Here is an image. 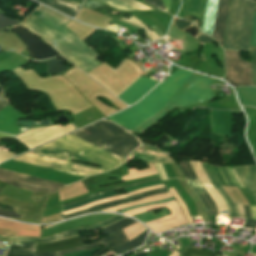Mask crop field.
Segmentation results:
<instances>
[{
  "label": "crop field",
  "mask_w": 256,
  "mask_h": 256,
  "mask_svg": "<svg viewBox=\"0 0 256 256\" xmlns=\"http://www.w3.org/2000/svg\"><path fill=\"white\" fill-rule=\"evenodd\" d=\"M72 157L82 162L101 165L107 170L119 166L123 161V158L70 134L39 149L18 156L13 160L83 177L107 171L88 165L69 162Z\"/></svg>",
  "instance_id": "1"
},
{
  "label": "crop field",
  "mask_w": 256,
  "mask_h": 256,
  "mask_svg": "<svg viewBox=\"0 0 256 256\" xmlns=\"http://www.w3.org/2000/svg\"><path fill=\"white\" fill-rule=\"evenodd\" d=\"M72 20L40 6L22 25L29 28L85 73L102 64L97 53L64 25Z\"/></svg>",
  "instance_id": "2"
},
{
  "label": "crop field",
  "mask_w": 256,
  "mask_h": 256,
  "mask_svg": "<svg viewBox=\"0 0 256 256\" xmlns=\"http://www.w3.org/2000/svg\"><path fill=\"white\" fill-rule=\"evenodd\" d=\"M191 74L192 72L178 69L136 105L109 118L130 130L134 129L160 111Z\"/></svg>",
  "instance_id": "3"
},
{
  "label": "crop field",
  "mask_w": 256,
  "mask_h": 256,
  "mask_svg": "<svg viewBox=\"0 0 256 256\" xmlns=\"http://www.w3.org/2000/svg\"><path fill=\"white\" fill-rule=\"evenodd\" d=\"M120 128L101 120L81 129L90 135L80 130L73 132V135L125 158L140 143Z\"/></svg>",
  "instance_id": "4"
},
{
  "label": "crop field",
  "mask_w": 256,
  "mask_h": 256,
  "mask_svg": "<svg viewBox=\"0 0 256 256\" xmlns=\"http://www.w3.org/2000/svg\"><path fill=\"white\" fill-rule=\"evenodd\" d=\"M213 80V78L193 73L160 112L132 131L138 134L141 133L147 127L167 114L174 105L184 107L193 103L214 99L215 96L209 86Z\"/></svg>",
  "instance_id": "5"
},
{
  "label": "crop field",
  "mask_w": 256,
  "mask_h": 256,
  "mask_svg": "<svg viewBox=\"0 0 256 256\" xmlns=\"http://www.w3.org/2000/svg\"><path fill=\"white\" fill-rule=\"evenodd\" d=\"M254 5L250 0H232L225 47L251 49V52H256V47H249Z\"/></svg>",
  "instance_id": "6"
},
{
  "label": "crop field",
  "mask_w": 256,
  "mask_h": 256,
  "mask_svg": "<svg viewBox=\"0 0 256 256\" xmlns=\"http://www.w3.org/2000/svg\"><path fill=\"white\" fill-rule=\"evenodd\" d=\"M0 180L18 188L53 193L65 184L0 169Z\"/></svg>",
  "instance_id": "7"
},
{
  "label": "crop field",
  "mask_w": 256,
  "mask_h": 256,
  "mask_svg": "<svg viewBox=\"0 0 256 256\" xmlns=\"http://www.w3.org/2000/svg\"><path fill=\"white\" fill-rule=\"evenodd\" d=\"M202 164L213 186L215 187L217 192L220 194V196L225 200L229 209L230 216L238 217L239 215V217L244 218L241 204H236L237 210H238V215H237L235 204H233L232 200L229 198V196L225 193V191L220 186V185H224V186L236 187L226 166L218 167V166H211L206 163H202Z\"/></svg>",
  "instance_id": "8"
},
{
  "label": "crop field",
  "mask_w": 256,
  "mask_h": 256,
  "mask_svg": "<svg viewBox=\"0 0 256 256\" xmlns=\"http://www.w3.org/2000/svg\"><path fill=\"white\" fill-rule=\"evenodd\" d=\"M226 81L232 85H252L251 63L242 61L240 53L236 51L225 50Z\"/></svg>",
  "instance_id": "9"
},
{
  "label": "crop field",
  "mask_w": 256,
  "mask_h": 256,
  "mask_svg": "<svg viewBox=\"0 0 256 256\" xmlns=\"http://www.w3.org/2000/svg\"><path fill=\"white\" fill-rule=\"evenodd\" d=\"M123 218H125V217L116 215L110 219H107V220L100 222L98 224H95L93 226H87V227H83V228L73 229L68 232L57 234V235H54V236L48 237V238L39 239V238H32V237H10L9 241H31V242H41V243L57 241V240H61V239H65V238H69V237H73V236H78V234L76 232H79V231L92 230V229H97V228H100V227H103L106 225H110L112 223H115V222L123 219Z\"/></svg>",
  "instance_id": "10"
},
{
  "label": "crop field",
  "mask_w": 256,
  "mask_h": 256,
  "mask_svg": "<svg viewBox=\"0 0 256 256\" xmlns=\"http://www.w3.org/2000/svg\"><path fill=\"white\" fill-rule=\"evenodd\" d=\"M157 82L149 78L140 77L118 97L128 105H131L145 95Z\"/></svg>",
  "instance_id": "11"
},
{
  "label": "crop field",
  "mask_w": 256,
  "mask_h": 256,
  "mask_svg": "<svg viewBox=\"0 0 256 256\" xmlns=\"http://www.w3.org/2000/svg\"><path fill=\"white\" fill-rule=\"evenodd\" d=\"M230 0H218L212 37L218 39L223 46L227 10Z\"/></svg>",
  "instance_id": "12"
},
{
  "label": "crop field",
  "mask_w": 256,
  "mask_h": 256,
  "mask_svg": "<svg viewBox=\"0 0 256 256\" xmlns=\"http://www.w3.org/2000/svg\"><path fill=\"white\" fill-rule=\"evenodd\" d=\"M87 241H89V239H82L80 236H78L75 238H69L57 242L39 244L36 247V252H53L67 248L83 246L86 245L85 242Z\"/></svg>",
  "instance_id": "13"
},
{
  "label": "crop field",
  "mask_w": 256,
  "mask_h": 256,
  "mask_svg": "<svg viewBox=\"0 0 256 256\" xmlns=\"http://www.w3.org/2000/svg\"><path fill=\"white\" fill-rule=\"evenodd\" d=\"M189 162H190L191 166L193 167L194 171L196 172L200 181L204 184L208 193L214 199L219 210L228 211L225 202L222 200V198L219 196V194L216 192V190L212 187V184L210 183L207 175L205 174L201 163L192 162V161H189Z\"/></svg>",
  "instance_id": "14"
},
{
  "label": "crop field",
  "mask_w": 256,
  "mask_h": 256,
  "mask_svg": "<svg viewBox=\"0 0 256 256\" xmlns=\"http://www.w3.org/2000/svg\"><path fill=\"white\" fill-rule=\"evenodd\" d=\"M245 185V189L256 200V166L234 167Z\"/></svg>",
  "instance_id": "15"
},
{
  "label": "crop field",
  "mask_w": 256,
  "mask_h": 256,
  "mask_svg": "<svg viewBox=\"0 0 256 256\" xmlns=\"http://www.w3.org/2000/svg\"><path fill=\"white\" fill-rule=\"evenodd\" d=\"M188 185L191 187V189L194 191V193L197 195V197L202 202L205 211L207 214H219L216 208V205L212 201L209 194L205 191L203 185L200 182L197 181H188L186 180Z\"/></svg>",
  "instance_id": "16"
},
{
  "label": "crop field",
  "mask_w": 256,
  "mask_h": 256,
  "mask_svg": "<svg viewBox=\"0 0 256 256\" xmlns=\"http://www.w3.org/2000/svg\"><path fill=\"white\" fill-rule=\"evenodd\" d=\"M157 190H161V191L155 192V193H150V194H145V193H149V192H153V191H157ZM164 192H167L165 188L144 192V193H141L139 195L127 197V198L122 199V200L100 204V205L94 206V207H92L88 210H84V211L77 212V213H74V214H71V215L63 216L62 218L66 219V218H70V217H74V216H78V215H82V214H86V213H90V212H94V211L107 209V208H110V207L115 206V205H119V204L134 201L136 199L142 198V197L147 196V195L156 194V193H164ZM142 194H145V195H142Z\"/></svg>",
  "instance_id": "17"
},
{
  "label": "crop field",
  "mask_w": 256,
  "mask_h": 256,
  "mask_svg": "<svg viewBox=\"0 0 256 256\" xmlns=\"http://www.w3.org/2000/svg\"><path fill=\"white\" fill-rule=\"evenodd\" d=\"M45 5H48L56 10H59L69 16L74 17L80 4L68 0H37Z\"/></svg>",
  "instance_id": "18"
},
{
  "label": "crop field",
  "mask_w": 256,
  "mask_h": 256,
  "mask_svg": "<svg viewBox=\"0 0 256 256\" xmlns=\"http://www.w3.org/2000/svg\"><path fill=\"white\" fill-rule=\"evenodd\" d=\"M36 243L10 242L6 256H35Z\"/></svg>",
  "instance_id": "19"
},
{
  "label": "crop field",
  "mask_w": 256,
  "mask_h": 256,
  "mask_svg": "<svg viewBox=\"0 0 256 256\" xmlns=\"http://www.w3.org/2000/svg\"><path fill=\"white\" fill-rule=\"evenodd\" d=\"M216 6H217V0H208L207 1V7H206L202 31L209 35L212 34Z\"/></svg>",
  "instance_id": "20"
},
{
  "label": "crop field",
  "mask_w": 256,
  "mask_h": 256,
  "mask_svg": "<svg viewBox=\"0 0 256 256\" xmlns=\"http://www.w3.org/2000/svg\"><path fill=\"white\" fill-rule=\"evenodd\" d=\"M106 2L120 10H148L150 8L134 0H100Z\"/></svg>",
  "instance_id": "21"
},
{
  "label": "crop field",
  "mask_w": 256,
  "mask_h": 256,
  "mask_svg": "<svg viewBox=\"0 0 256 256\" xmlns=\"http://www.w3.org/2000/svg\"><path fill=\"white\" fill-rule=\"evenodd\" d=\"M242 105L256 106V88L243 87L235 88Z\"/></svg>",
  "instance_id": "22"
},
{
  "label": "crop field",
  "mask_w": 256,
  "mask_h": 256,
  "mask_svg": "<svg viewBox=\"0 0 256 256\" xmlns=\"http://www.w3.org/2000/svg\"><path fill=\"white\" fill-rule=\"evenodd\" d=\"M101 241H103L105 244L111 247V249L115 246L121 245L125 242H127V238L123 232V230L107 237V238H102Z\"/></svg>",
  "instance_id": "23"
},
{
  "label": "crop field",
  "mask_w": 256,
  "mask_h": 256,
  "mask_svg": "<svg viewBox=\"0 0 256 256\" xmlns=\"http://www.w3.org/2000/svg\"><path fill=\"white\" fill-rule=\"evenodd\" d=\"M150 168L143 169V170H136L134 168H129V175L122 177L123 180H129L133 178H138L146 175H151L157 173L153 164H148Z\"/></svg>",
  "instance_id": "24"
},
{
  "label": "crop field",
  "mask_w": 256,
  "mask_h": 256,
  "mask_svg": "<svg viewBox=\"0 0 256 256\" xmlns=\"http://www.w3.org/2000/svg\"><path fill=\"white\" fill-rule=\"evenodd\" d=\"M135 222L136 221H134V220L126 218V219H124L122 221H119V222H117L115 224H112L110 226L103 227L104 231H102V232L106 233L109 236V235H111V234H113V233H115V232H117V231H119V230H121V229H123V228H125V227H127V226H129V225H131L133 223H135Z\"/></svg>",
  "instance_id": "25"
},
{
  "label": "crop field",
  "mask_w": 256,
  "mask_h": 256,
  "mask_svg": "<svg viewBox=\"0 0 256 256\" xmlns=\"http://www.w3.org/2000/svg\"><path fill=\"white\" fill-rule=\"evenodd\" d=\"M148 231V230H147ZM147 231H145L144 233H142L140 236H138L137 238L129 241L128 243L121 245L119 247L114 248L113 250L115 251V253L119 254L121 252H124L128 249H131L133 247L138 246L139 244L143 243L145 235L147 233Z\"/></svg>",
  "instance_id": "26"
},
{
  "label": "crop field",
  "mask_w": 256,
  "mask_h": 256,
  "mask_svg": "<svg viewBox=\"0 0 256 256\" xmlns=\"http://www.w3.org/2000/svg\"><path fill=\"white\" fill-rule=\"evenodd\" d=\"M155 180H159V178L148 179V180H144V181H140V182H136V183H132V184L120 186V187L111 188V189H108V190H105V191L96 193V194H94V195L88 196V197H86V198H83V199H80V200H77V201H74V202H71V203H68V204H64L63 206L70 205V204H73V203H77V202H80V201H82V200L91 198V197H93V196H96V195H99V194H102V193L110 192V191H113V190L124 189V188H127V187H131V186H135V185H139V184H143V183H147V182H151V181H155Z\"/></svg>",
  "instance_id": "27"
},
{
  "label": "crop field",
  "mask_w": 256,
  "mask_h": 256,
  "mask_svg": "<svg viewBox=\"0 0 256 256\" xmlns=\"http://www.w3.org/2000/svg\"><path fill=\"white\" fill-rule=\"evenodd\" d=\"M114 195H118V194H116V193H114V192H111V193L99 195V196H96V197H94V198H91V199L85 200V201H83V202L77 203V204H75V205H71V206L64 207V208H62V212H63V211L70 210V209H73V208L80 207V206L85 205V204H87V203H90V202H92V201L104 199V198H107V197H110V196H114Z\"/></svg>",
  "instance_id": "28"
},
{
  "label": "crop field",
  "mask_w": 256,
  "mask_h": 256,
  "mask_svg": "<svg viewBox=\"0 0 256 256\" xmlns=\"http://www.w3.org/2000/svg\"><path fill=\"white\" fill-rule=\"evenodd\" d=\"M178 163H179V166H180L185 178H187L189 180H198L188 161L178 162Z\"/></svg>",
  "instance_id": "29"
},
{
  "label": "crop field",
  "mask_w": 256,
  "mask_h": 256,
  "mask_svg": "<svg viewBox=\"0 0 256 256\" xmlns=\"http://www.w3.org/2000/svg\"><path fill=\"white\" fill-rule=\"evenodd\" d=\"M100 244H103L102 242L98 241L92 245H88V246H83V247H78V248H75V249H71V250H66V251H59V252H56L55 256H62L63 254H66V253H70V252H76V251H83V250H88V249H91L93 247H96ZM105 247H108L106 246L105 244H103Z\"/></svg>",
  "instance_id": "30"
},
{
  "label": "crop field",
  "mask_w": 256,
  "mask_h": 256,
  "mask_svg": "<svg viewBox=\"0 0 256 256\" xmlns=\"http://www.w3.org/2000/svg\"><path fill=\"white\" fill-rule=\"evenodd\" d=\"M181 256H215V254L206 252L202 249L201 251H198V250L187 248Z\"/></svg>",
  "instance_id": "31"
},
{
  "label": "crop field",
  "mask_w": 256,
  "mask_h": 256,
  "mask_svg": "<svg viewBox=\"0 0 256 256\" xmlns=\"http://www.w3.org/2000/svg\"><path fill=\"white\" fill-rule=\"evenodd\" d=\"M250 46H256V12H254L253 27Z\"/></svg>",
  "instance_id": "32"
},
{
  "label": "crop field",
  "mask_w": 256,
  "mask_h": 256,
  "mask_svg": "<svg viewBox=\"0 0 256 256\" xmlns=\"http://www.w3.org/2000/svg\"><path fill=\"white\" fill-rule=\"evenodd\" d=\"M252 58V79L253 85H256V53H251Z\"/></svg>",
  "instance_id": "33"
},
{
  "label": "crop field",
  "mask_w": 256,
  "mask_h": 256,
  "mask_svg": "<svg viewBox=\"0 0 256 256\" xmlns=\"http://www.w3.org/2000/svg\"><path fill=\"white\" fill-rule=\"evenodd\" d=\"M0 216H4V217H8V218H11V217L21 218V216L17 215L15 212L3 210V209H0Z\"/></svg>",
  "instance_id": "34"
},
{
  "label": "crop field",
  "mask_w": 256,
  "mask_h": 256,
  "mask_svg": "<svg viewBox=\"0 0 256 256\" xmlns=\"http://www.w3.org/2000/svg\"><path fill=\"white\" fill-rule=\"evenodd\" d=\"M161 183H162V181L159 180V181H155V182H152V183H148V184H144V185H140V186H136V187L127 188L126 190L128 192H130V191L137 190V189H140V188H143V187L152 186V185L161 184Z\"/></svg>",
  "instance_id": "35"
},
{
  "label": "crop field",
  "mask_w": 256,
  "mask_h": 256,
  "mask_svg": "<svg viewBox=\"0 0 256 256\" xmlns=\"http://www.w3.org/2000/svg\"><path fill=\"white\" fill-rule=\"evenodd\" d=\"M146 2L166 11L161 0H145Z\"/></svg>",
  "instance_id": "36"
},
{
  "label": "crop field",
  "mask_w": 256,
  "mask_h": 256,
  "mask_svg": "<svg viewBox=\"0 0 256 256\" xmlns=\"http://www.w3.org/2000/svg\"><path fill=\"white\" fill-rule=\"evenodd\" d=\"M158 173H159V176L161 177V179H166L167 178V175L162 167L161 164H154Z\"/></svg>",
  "instance_id": "37"
},
{
  "label": "crop field",
  "mask_w": 256,
  "mask_h": 256,
  "mask_svg": "<svg viewBox=\"0 0 256 256\" xmlns=\"http://www.w3.org/2000/svg\"><path fill=\"white\" fill-rule=\"evenodd\" d=\"M170 200H173V198L171 199H167V200H163V201H159V202H154V203H148V204H144V205H139V206H135V207H130V208H126V209H122L120 211H118L119 213H123L127 210H130V209H134V208H138V207H142V206H146V205H149V204H158V203H163V202H166V201H170Z\"/></svg>",
  "instance_id": "38"
},
{
  "label": "crop field",
  "mask_w": 256,
  "mask_h": 256,
  "mask_svg": "<svg viewBox=\"0 0 256 256\" xmlns=\"http://www.w3.org/2000/svg\"><path fill=\"white\" fill-rule=\"evenodd\" d=\"M9 105L6 100L0 95V110Z\"/></svg>",
  "instance_id": "39"
},
{
  "label": "crop field",
  "mask_w": 256,
  "mask_h": 256,
  "mask_svg": "<svg viewBox=\"0 0 256 256\" xmlns=\"http://www.w3.org/2000/svg\"><path fill=\"white\" fill-rule=\"evenodd\" d=\"M246 227L255 229L256 228V221L248 219Z\"/></svg>",
  "instance_id": "40"
},
{
  "label": "crop field",
  "mask_w": 256,
  "mask_h": 256,
  "mask_svg": "<svg viewBox=\"0 0 256 256\" xmlns=\"http://www.w3.org/2000/svg\"><path fill=\"white\" fill-rule=\"evenodd\" d=\"M99 249H94V250H92L91 252H89V251H87L86 253H82L83 255H81V256H91V255H93L95 252H97ZM79 255V256H80Z\"/></svg>",
  "instance_id": "41"
},
{
  "label": "crop field",
  "mask_w": 256,
  "mask_h": 256,
  "mask_svg": "<svg viewBox=\"0 0 256 256\" xmlns=\"http://www.w3.org/2000/svg\"><path fill=\"white\" fill-rule=\"evenodd\" d=\"M245 210V217L251 218L249 206L243 207Z\"/></svg>",
  "instance_id": "42"
},
{
  "label": "crop field",
  "mask_w": 256,
  "mask_h": 256,
  "mask_svg": "<svg viewBox=\"0 0 256 256\" xmlns=\"http://www.w3.org/2000/svg\"><path fill=\"white\" fill-rule=\"evenodd\" d=\"M54 253H36V256H54Z\"/></svg>",
  "instance_id": "43"
},
{
  "label": "crop field",
  "mask_w": 256,
  "mask_h": 256,
  "mask_svg": "<svg viewBox=\"0 0 256 256\" xmlns=\"http://www.w3.org/2000/svg\"><path fill=\"white\" fill-rule=\"evenodd\" d=\"M167 10H169L172 0H163Z\"/></svg>",
  "instance_id": "44"
},
{
  "label": "crop field",
  "mask_w": 256,
  "mask_h": 256,
  "mask_svg": "<svg viewBox=\"0 0 256 256\" xmlns=\"http://www.w3.org/2000/svg\"><path fill=\"white\" fill-rule=\"evenodd\" d=\"M1 138H3V139H10V138H14V137L0 133V141H1Z\"/></svg>",
  "instance_id": "45"
},
{
  "label": "crop field",
  "mask_w": 256,
  "mask_h": 256,
  "mask_svg": "<svg viewBox=\"0 0 256 256\" xmlns=\"http://www.w3.org/2000/svg\"><path fill=\"white\" fill-rule=\"evenodd\" d=\"M160 37L164 36L155 26L151 27Z\"/></svg>",
  "instance_id": "46"
},
{
  "label": "crop field",
  "mask_w": 256,
  "mask_h": 256,
  "mask_svg": "<svg viewBox=\"0 0 256 256\" xmlns=\"http://www.w3.org/2000/svg\"><path fill=\"white\" fill-rule=\"evenodd\" d=\"M232 170H233V172H234V174H235V176H236V178H237V180H238L239 185H240L241 187H243V185H242V183H241V181H240V179H239V177H238V175H237L235 169H232Z\"/></svg>",
  "instance_id": "47"
},
{
  "label": "crop field",
  "mask_w": 256,
  "mask_h": 256,
  "mask_svg": "<svg viewBox=\"0 0 256 256\" xmlns=\"http://www.w3.org/2000/svg\"><path fill=\"white\" fill-rule=\"evenodd\" d=\"M0 207H1V208H5V209H9V210H13L12 208L4 207V206H1V205H0ZM13 211H14V210H13Z\"/></svg>",
  "instance_id": "48"
},
{
  "label": "crop field",
  "mask_w": 256,
  "mask_h": 256,
  "mask_svg": "<svg viewBox=\"0 0 256 256\" xmlns=\"http://www.w3.org/2000/svg\"><path fill=\"white\" fill-rule=\"evenodd\" d=\"M105 249H107V248H105ZM105 249H103L102 251L98 252L97 254H95V255H93V256L99 255V254H100L101 252H103Z\"/></svg>",
  "instance_id": "49"
},
{
  "label": "crop field",
  "mask_w": 256,
  "mask_h": 256,
  "mask_svg": "<svg viewBox=\"0 0 256 256\" xmlns=\"http://www.w3.org/2000/svg\"><path fill=\"white\" fill-rule=\"evenodd\" d=\"M0 191H1V188H0Z\"/></svg>",
  "instance_id": "50"
},
{
  "label": "crop field",
  "mask_w": 256,
  "mask_h": 256,
  "mask_svg": "<svg viewBox=\"0 0 256 256\" xmlns=\"http://www.w3.org/2000/svg\"><path fill=\"white\" fill-rule=\"evenodd\" d=\"M254 11H256V9Z\"/></svg>",
  "instance_id": "51"
},
{
  "label": "crop field",
  "mask_w": 256,
  "mask_h": 256,
  "mask_svg": "<svg viewBox=\"0 0 256 256\" xmlns=\"http://www.w3.org/2000/svg\"><path fill=\"white\" fill-rule=\"evenodd\" d=\"M254 1H256V0H254Z\"/></svg>",
  "instance_id": "52"
},
{
  "label": "crop field",
  "mask_w": 256,
  "mask_h": 256,
  "mask_svg": "<svg viewBox=\"0 0 256 256\" xmlns=\"http://www.w3.org/2000/svg\"><path fill=\"white\" fill-rule=\"evenodd\" d=\"M255 8H256V6H255Z\"/></svg>",
  "instance_id": "53"
}]
</instances>
